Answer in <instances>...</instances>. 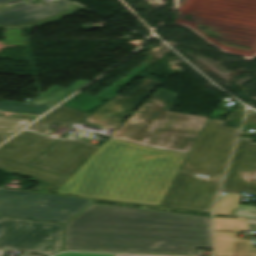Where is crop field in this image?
I'll use <instances>...</instances> for the list:
<instances>
[{
	"label": "crop field",
	"instance_id": "5a996713",
	"mask_svg": "<svg viewBox=\"0 0 256 256\" xmlns=\"http://www.w3.org/2000/svg\"><path fill=\"white\" fill-rule=\"evenodd\" d=\"M159 84L144 78L127 97L115 95L85 120L115 129Z\"/></svg>",
	"mask_w": 256,
	"mask_h": 256
},
{
	"label": "crop field",
	"instance_id": "5142ce71",
	"mask_svg": "<svg viewBox=\"0 0 256 256\" xmlns=\"http://www.w3.org/2000/svg\"><path fill=\"white\" fill-rule=\"evenodd\" d=\"M88 82V80L78 79L67 88L53 85L46 91L41 93L39 96H37L35 99H33L31 102L46 105H55Z\"/></svg>",
	"mask_w": 256,
	"mask_h": 256
},
{
	"label": "crop field",
	"instance_id": "a9b5d70f",
	"mask_svg": "<svg viewBox=\"0 0 256 256\" xmlns=\"http://www.w3.org/2000/svg\"><path fill=\"white\" fill-rule=\"evenodd\" d=\"M221 190H223V191H229V192H240V191H242V190H245V191H249V192L256 193V190L241 189V188L226 187V186H223Z\"/></svg>",
	"mask_w": 256,
	"mask_h": 256
},
{
	"label": "crop field",
	"instance_id": "bc2a9ffb",
	"mask_svg": "<svg viewBox=\"0 0 256 256\" xmlns=\"http://www.w3.org/2000/svg\"><path fill=\"white\" fill-rule=\"evenodd\" d=\"M31 120L0 116V134H13Z\"/></svg>",
	"mask_w": 256,
	"mask_h": 256
},
{
	"label": "crop field",
	"instance_id": "d8731c3e",
	"mask_svg": "<svg viewBox=\"0 0 256 256\" xmlns=\"http://www.w3.org/2000/svg\"><path fill=\"white\" fill-rule=\"evenodd\" d=\"M98 145L79 140H59L31 166L70 177V175L98 148ZM55 153L53 156L51 153Z\"/></svg>",
	"mask_w": 256,
	"mask_h": 256
},
{
	"label": "crop field",
	"instance_id": "dd49c442",
	"mask_svg": "<svg viewBox=\"0 0 256 256\" xmlns=\"http://www.w3.org/2000/svg\"><path fill=\"white\" fill-rule=\"evenodd\" d=\"M56 139L23 131L0 147V169L59 186L66 178L26 166Z\"/></svg>",
	"mask_w": 256,
	"mask_h": 256
},
{
	"label": "crop field",
	"instance_id": "ae1a2a85",
	"mask_svg": "<svg viewBox=\"0 0 256 256\" xmlns=\"http://www.w3.org/2000/svg\"><path fill=\"white\" fill-rule=\"evenodd\" d=\"M139 155H140V153H137V155H136L135 159H134V160H133V162H132V164H133V165H135V163H136V161H137V159H138Z\"/></svg>",
	"mask_w": 256,
	"mask_h": 256
},
{
	"label": "crop field",
	"instance_id": "eef30255",
	"mask_svg": "<svg viewBox=\"0 0 256 256\" xmlns=\"http://www.w3.org/2000/svg\"><path fill=\"white\" fill-rule=\"evenodd\" d=\"M2 250H3V249L0 248V256H3ZM22 256H39V255L24 254V255H22Z\"/></svg>",
	"mask_w": 256,
	"mask_h": 256
},
{
	"label": "crop field",
	"instance_id": "cbeb9de0",
	"mask_svg": "<svg viewBox=\"0 0 256 256\" xmlns=\"http://www.w3.org/2000/svg\"><path fill=\"white\" fill-rule=\"evenodd\" d=\"M53 111V110H52ZM88 113L80 112L77 110H73L66 107H58L53 112L30 126L28 129L43 133V134H49L52 131L49 130L46 125L48 123H60L64 126H68L72 124L73 122L80 121L83 119Z\"/></svg>",
	"mask_w": 256,
	"mask_h": 256
},
{
	"label": "crop field",
	"instance_id": "92a150f3",
	"mask_svg": "<svg viewBox=\"0 0 256 256\" xmlns=\"http://www.w3.org/2000/svg\"><path fill=\"white\" fill-rule=\"evenodd\" d=\"M51 202H59V203H67V204H75V205H83L87 206L89 205L92 201L89 200H82V199H74V198H67V197H60V196H48V200Z\"/></svg>",
	"mask_w": 256,
	"mask_h": 256
},
{
	"label": "crop field",
	"instance_id": "1d83c4d3",
	"mask_svg": "<svg viewBox=\"0 0 256 256\" xmlns=\"http://www.w3.org/2000/svg\"><path fill=\"white\" fill-rule=\"evenodd\" d=\"M115 256H128V255H115Z\"/></svg>",
	"mask_w": 256,
	"mask_h": 256
},
{
	"label": "crop field",
	"instance_id": "ac0d7876",
	"mask_svg": "<svg viewBox=\"0 0 256 256\" xmlns=\"http://www.w3.org/2000/svg\"><path fill=\"white\" fill-rule=\"evenodd\" d=\"M137 152L158 156L144 167L132 166ZM183 157L109 138L57 193L159 206Z\"/></svg>",
	"mask_w": 256,
	"mask_h": 256
},
{
	"label": "crop field",
	"instance_id": "730fd06b",
	"mask_svg": "<svg viewBox=\"0 0 256 256\" xmlns=\"http://www.w3.org/2000/svg\"><path fill=\"white\" fill-rule=\"evenodd\" d=\"M50 5H54V4H62V3H72L68 0H52L48 2Z\"/></svg>",
	"mask_w": 256,
	"mask_h": 256
},
{
	"label": "crop field",
	"instance_id": "214f88e0",
	"mask_svg": "<svg viewBox=\"0 0 256 256\" xmlns=\"http://www.w3.org/2000/svg\"><path fill=\"white\" fill-rule=\"evenodd\" d=\"M0 196H8V197H17V198H25V199H34V200L46 201L48 195L18 192V191H9V190H0Z\"/></svg>",
	"mask_w": 256,
	"mask_h": 256
},
{
	"label": "crop field",
	"instance_id": "f4fd0767",
	"mask_svg": "<svg viewBox=\"0 0 256 256\" xmlns=\"http://www.w3.org/2000/svg\"><path fill=\"white\" fill-rule=\"evenodd\" d=\"M63 224L0 216V247L51 255L61 250Z\"/></svg>",
	"mask_w": 256,
	"mask_h": 256
},
{
	"label": "crop field",
	"instance_id": "4a817a6b",
	"mask_svg": "<svg viewBox=\"0 0 256 256\" xmlns=\"http://www.w3.org/2000/svg\"><path fill=\"white\" fill-rule=\"evenodd\" d=\"M240 195H220L213 213L235 215Z\"/></svg>",
	"mask_w": 256,
	"mask_h": 256
},
{
	"label": "crop field",
	"instance_id": "bd1437ed",
	"mask_svg": "<svg viewBox=\"0 0 256 256\" xmlns=\"http://www.w3.org/2000/svg\"><path fill=\"white\" fill-rule=\"evenodd\" d=\"M56 256H67V255H65L64 253H60V254H58Z\"/></svg>",
	"mask_w": 256,
	"mask_h": 256
},
{
	"label": "crop field",
	"instance_id": "28ad6ade",
	"mask_svg": "<svg viewBox=\"0 0 256 256\" xmlns=\"http://www.w3.org/2000/svg\"><path fill=\"white\" fill-rule=\"evenodd\" d=\"M239 138L224 184L256 189V143Z\"/></svg>",
	"mask_w": 256,
	"mask_h": 256
},
{
	"label": "crop field",
	"instance_id": "750c4746",
	"mask_svg": "<svg viewBox=\"0 0 256 256\" xmlns=\"http://www.w3.org/2000/svg\"><path fill=\"white\" fill-rule=\"evenodd\" d=\"M9 136H3V135H0V142L3 141L4 139L8 138Z\"/></svg>",
	"mask_w": 256,
	"mask_h": 256
},
{
	"label": "crop field",
	"instance_id": "d9b57169",
	"mask_svg": "<svg viewBox=\"0 0 256 256\" xmlns=\"http://www.w3.org/2000/svg\"><path fill=\"white\" fill-rule=\"evenodd\" d=\"M242 229L256 230V220L214 218V230L238 231Z\"/></svg>",
	"mask_w": 256,
	"mask_h": 256
},
{
	"label": "crop field",
	"instance_id": "dafd665d",
	"mask_svg": "<svg viewBox=\"0 0 256 256\" xmlns=\"http://www.w3.org/2000/svg\"><path fill=\"white\" fill-rule=\"evenodd\" d=\"M45 208L79 212V211L82 210L84 207H82V206H74V205H66V204H58V203H50V202H47Z\"/></svg>",
	"mask_w": 256,
	"mask_h": 256
},
{
	"label": "crop field",
	"instance_id": "3316defc",
	"mask_svg": "<svg viewBox=\"0 0 256 256\" xmlns=\"http://www.w3.org/2000/svg\"><path fill=\"white\" fill-rule=\"evenodd\" d=\"M19 0H0V6ZM83 9L76 4L38 6L27 8L23 4L0 9V28L33 27Z\"/></svg>",
	"mask_w": 256,
	"mask_h": 256
},
{
	"label": "crop field",
	"instance_id": "00972430",
	"mask_svg": "<svg viewBox=\"0 0 256 256\" xmlns=\"http://www.w3.org/2000/svg\"><path fill=\"white\" fill-rule=\"evenodd\" d=\"M155 158H156V156H154V155H147V154L141 153L136 165L143 166L146 159L154 161Z\"/></svg>",
	"mask_w": 256,
	"mask_h": 256
},
{
	"label": "crop field",
	"instance_id": "d3111659",
	"mask_svg": "<svg viewBox=\"0 0 256 256\" xmlns=\"http://www.w3.org/2000/svg\"><path fill=\"white\" fill-rule=\"evenodd\" d=\"M24 5H26L27 7H31V6H38V5H41V4H29V3H25Z\"/></svg>",
	"mask_w": 256,
	"mask_h": 256
},
{
	"label": "crop field",
	"instance_id": "8a807250",
	"mask_svg": "<svg viewBox=\"0 0 256 256\" xmlns=\"http://www.w3.org/2000/svg\"><path fill=\"white\" fill-rule=\"evenodd\" d=\"M210 217L92 203L66 223L63 250L194 256Z\"/></svg>",
	"mask_w": 256,
	"mask_h": 256
},
{
	"label": "crop field",
	"instance_id": "34b2d1b8",
	"mask_svg": "<svg viewBox=\"0 0 256 256\" xmlns=\"http://www.w3.org/2000/svg\"><path fill=\"white\" fill-rule=\"evenodd\" d=\"M176 95L159 88L112 137L189 152L207 117L168 112Z\"/></svg>",
	"mask_w": 256,
	"mask_h": 256
},
{
	"label": "crop field",
	"instance_id": "22f410ed",
	"mask_svg": "<svg viewBox=\"0 0 256 256\" xmlns=\"http://www.w3.org/2000/svg\"><path fill=\"white\" fill-rule=\"evenodd\" d=\"M215 256H256V247L235 233L214 232Z\"/></svg>",
	"mask_w": 256,
	"mask_h": 256
},
{
	"label": "crop field",
	"instance_id": "4177f3b9",
	"mask_svg": "<svg viewBox=\"0 0 256 256\" xmlns=\"http://www.w3.org/2000/svg\"><path fill=\"white\" fill-rule=\"evenodd\" d=\"M68 256H114V255H104V254H83V253H69L65 252Z\"/></svg>",
	"mask_w": 256,
	"mask_h": 256
},
{
	"label": "crop field",
	"instance_id": "d1516ede",
	"mask_svg": "<svg viewBox=\"0 0 256 256\" xmlns=\"http://www.w3.org/2000/svg\"><path fill=\"white\" fill-rule=\"evenodd\" d=\"M46 202L0 197V215L65 223L74 212L44 209Z\"/></svg>",
	"mask_w": 256,
	"mask_h": 256
},
{
	"label": "crop field",
	"instance_id": "e52e79f7",
	"mask_svg": "<svg viewBox=\"0 0 256 256\" xmlns=\"http://www.w3.org/2000/svg\"><path fill=\"white\" fill-rule=\"evenodd\" d=\"M220 179L178 172L162 206L210 212Z\"/></svg>",
	"mask_w": 256,
	"mask_h": 256
},
{
	"label": "crop field",
	"instance_id": "412701ff",
	"mask_svg": "<svg viewBox=\"0 0 256 256\" xmlns=\"http://www.w3.org/2000/svg\"><path fill=\"white\" fill-rule=\"evenodd\" d=\"M224 121L209 119L181 170L223 176L238 128L223 126Z\"/></svg>",
	"mask_w": 256,
	"mask_h": 256
},
{
	"label": "crop field",
	"instance_id": "733c2abd",
	"mask_svg": "<svg viewBox=\"0 0 256 256\" xmlns=\"http://www.w3.org/2000/svg\"><path fill=\"white\" fill-rule=\"evenodd\" d=\"M50 106L34 105V104H22L14 102L0 101V110L22 112L29 114L41 115L48 111Z\"/></svg>",
	"mask_w": 256,
	"mask_h": 256
}]
</instances>
